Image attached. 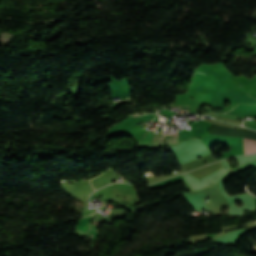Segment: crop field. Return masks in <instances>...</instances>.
I'll return each instance as SVG.
<instances>
[{
  "label": "crop field",
  "instance_id": "obj_1",
  "mask_svg": "<svg viewBox=\"0 0 256 256\" xmlns=\"http://www.w3.org/2000/svg\"><path fill=\"white\" fill-rule=\"evenodd\" d=\"M244 148H245V151L256 152V141L244 138ZM246 153L249 154L250 152H246Z\"/></svg>",
  "mask_w": 256,
  "mask_h": 256
},
{
  "label": "crop field",
  "instance_id": "obj_2",
  "mask_svg": "<svg viewBox=\"0 0 256 256\" xmlns=\"http://www.w3.org/2000/svg\"><path fill=\"white\" fill-rule=\"evenodd\" d=\"M186 106V105H185Z\"/></svg>",
  "mask_w": 256,
  "mask_h": 256
}]
</instances>
